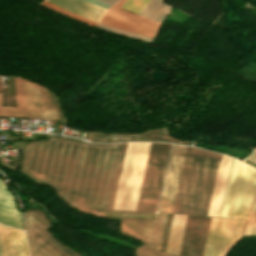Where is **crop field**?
I'll use <instances>...</instances> for the list:
<instances>
[{
	"instance_id": "crop-field-8",
	"label": "crop field",
	"mask_w": 256,
	"mask_h": 256,
	"mask_svg": "<svg viewBox=\"0 0 256 256\" xmlns=\"http://www.w3.org/2000/svg\"><path fill=\"white\" fill-rule=\"evenodd\" d=\"M126 1L120 0L115 7L109 5L99 24L154 38L160 23L118 9Z\"/></svg>"
},
{
	"instance_id": "crop-field-15",
	"label": "crop field",
	"mask_w": 256,
	"mask_h": 256,
	"mask_svg": "<svg viewBox=\"0 0 256 256\" xmlns=\"http://www.w3.org/2000/svg\"><path fill=\"white\" fill-rule=\"evenodd\" d=\"M73 13L98 22L105 9L90 5L82 0H48Z\"/></svg>"
},
{
	"instance_id": "crop-field-20",
	"label": "crop field",
	"mask_w": 256,
	"mask_h": 256,
	"mask_svg": "<svg viewBox=\"0 0 256 256\" xmlns=\"http://www.w3.org/2000/svg\"><path fill=\"white\" fill-rule=\"evenodd\" d=\"M41 4H42V3H41ZM43 5L49 7V8H51V9H53V10H56V11H58V12H60V13H63V14H65V15H67V16H70V17H72V18H75V19H77V20H79V21H82V22H84V23H86V24H89V25H91V26H93V27H94L95 24H96V23H94V22H92V21H89V20H87V19H85V18H82V17H80V16H78V15H76V14H73V13H71V12H69V11H66V10H64V9H62V8H60V7H58V6L54 5V4H52V3L48 2V1H46V0H44Z\"/></svg>"
},
{
	"instance_id": "crop-field-14",
	"label": "crop field",
	"mask_w": 256,
	"mask_h": 256,
	"mask_svg": "<svg viewBox=\"0 0 256 256\" xmlns=\"http://www.w3.org/2000/svg\"><path fill=\"white\" fill-rule=\"evenodd\" d=\"M75 209L81 212L92 214L99 217H104L102 216V213L104 211H109V210H92V209H82V208H75ZM111 212H132V211H111ZM132 213H148V212H132ZM148 214H155V213H148ZM106 218H115V217H106ZM144 220L145 219L122 218L121 224H120V233L128 238L140 241Z\"/></svg>"
},
{
	"instance_id": "crop-field-25",
	"label": "crop field",
	"mask_w": 256,
	"mask_h": 256,
	"mask_svg": "<svg viewBox=\"0 0 256 256\" xmlns=\"http://www.w3.org/2000/svg\"><path fill=\"white\" fill-rule=\"evenodd\" d=\"M154 221H146L141 243L148 245Z\"/></svg>"
},
{
	"instance_id": "crop-field-28",
	"label": "crop field",
	"mask_w": 256,
	"mask_h": 256,
	"mask_svg": "<svg viewBox=\"0 0 256 256\" xmlns=\"http://www.w3.org/2000/svg\"><path fill=\"white\" fill-rule=\"evenodd\" d=\"M150 140H163V141H174V142H184L177 139H174L170 136H150ZM189 143V142H187Z\"/></svg>"
},
{
	"instance_id": "crop-field-26",
	"label": "crop field",
	"mask_w": 256,
	"mask_h": 256,
	"mask_svg": "<svg viewBox=\"0 0 256 256\" xmlns=\"http://www.w3.org/2000/svg\"><path fill=\"white\" fill-rule=\"evenodd\" d=\"M38 90H39V93H40V96H41V100H42V103H43V106L44 107H51V103H50V100H49V97L47 95V92L45 89H43L41 86L38 85Z\"/></svg>"
},
{
	"instance_id": "crop-field-9",
	"label": "crop field",
	"mask_w": 256,
	"mask_h": 256,
	"mask_svg": "<svg viewBox=\"0 0 256 256\" xmlns=\"http://www.w3.org/2000/svg\"><path fill=\"white\" fill-rule=\"evenodd\" d=\"M24 90L26 97L27 109L0 107V116L9 117H33V118H45L52 120H59L58 113L55 107L43 109L42 103L37 90V85L28 82L24 79ZM1 102V96H0Z\"/></svg>"
},
{
	"instance_id": "crop-field-16",
	"label": "crop field",
	"mask_w": 256,
	"mask_h": 256,
	"mask_svg": "<svg viewBox=\"0 0 256 256\" xmlns=\"http://www.w3.org/2000/svg\"><path fill=\"white\" fill-rule=\"evenodd\" d=\"M186 218L187 216H184V215H174L173 221H172V226H171V231H170L166 251L177 256L180 250Z\"/></svg>"
},
{
	"instance_id": "crop-field-11",
	"label": "crop field",
	"mask_w": 256,
	"mask_h": 256,
	"mask_svg": "<svg viewBox=\"0 0 256 256\" xmlns=\"http://www.w3.org/2000/svg\"><path fill=\"white\" fill-rule=\"evenodd\" d=\"M2 256H29L25 233L0 225Z\"/></svg>"
},
{
	"instance_id": "crop-field-7",
	"label": "crop field",
	"mask_w": 256,
	"mask_h": 256,
	"mask_svg": "<svg viewBox=\"0 0 256 256\" xmlns=\"http://www.w3.org/2000/svg\"><path fill=\"white\" fill-rule=\"evenodd\" d=\"M244 221L212 218L203 256H225L241 236Z\"/></svg>"
},
{
	"instance_id": "crop-field-18",
	"label": "crop field",
	"mask_w": 256,
	"mask_h": 256,
	"mask_svg": "<svg viewBox=\"0 0 256 256\" xmlns=\"http://www.w3.org/2000/svg\"><path fill=\"white\" fill-rule=\"evenodd\" d=\"M127 143H121L106 209H112Z\"/></svg>"
},
{
	"instance_id": "crop-field-29",
	"label": "crop field",
	"mask_w": 256,
	"mask_h": 256,
	"mask_svg": "<svg viewBox=\"0 0 256 256\" xmlns=\"http://www.w3.org/2000/svg\"><path fill=\"white\" fill-rule=\"evenodd\" d=\"M100 1L107 3V4H111L113 6H115L119 2V0H100Z\"/></svg>"
},
{
	"instance_id": "crop-field-4",
	"label": "crop field",
	"mask_w": 256,
	"mask_h": 256,
	"mask_svg": "<svg viewBox=\"0 0 256 256\" xmlns=\"http://www.w3.org/2000/svg\"><path fill=\"white\" fill-rule=\"evenodd\" d=\"M150 143H128L113 209L135 210Z\"/></svg>"
},
{
	"instance_id": "crop-field-2",
	"label": "crop field",
	"mask_w": 256,
	"mask_h": 256,
	"mask_svg": "<svg viewBox=\"0 0 256 256\" xmlns=\"http://www.w3.org/2000/svg\"><path fill=\"white\" fill-rule=\"evenodd\" d=\"M220 157L187 146L172 213L207 216Z\"/></svg>"
},
{
	"instance_id": "crop-field-13",
	"label": "crop field",
	"mask_w": 256,
	"mask_h": 256,
	"mask_svg": "<svg viewBox=\"0 0 256 256\" xmlns=\"http://www.w3.org/2000/svg\"><path fill=\"white\" fill-rule=\"evenodd\" d=\"M0 223L23 230L21 213L16 212L12 195L0 180Z\"/></svg>"
},
{
	"instance_id": "crop-field-32",
	"label": "crop field",
	"mask_w": 256,
	"mask_h": 256,
	"mask_svg": "<svg viewBox=\"0 0 256 256\" xmlns=\"http://www.w3.org/2000/svg\"><path fill=\"white\" fill-rule=\"evenodd\" d=\"M0 95H1V93H0Z\"/></svg>"
},
{
	"instance_id": "crop-field-21",
	"label": "crop field",
	"mask_w": 256,
	"mask_h": 256,
	"mask_svg": "<svg viewBox=\"0 0 256 256\" xmlns=\"http://www.w3.org/2000/svg\"><path fill=\"white\" fill-rule=\"evenodd\" d=\"M149 0H128L122 9L139 14Z\"/></svg>"
},
{
	"instance_id": "crop-field-31",
	"label": "crop field",
	"mask_w": 256,
	"mask_h": 256,
	"mask_svg": "<svg viewBox=\"0 0 256 256\" xmlns=\"http://www.w3.org/2000/svg\"><path fill=\"white\" fill-rule=\"evenodd\" d=\"M0 256H1V253H0Z\"/></svg>"
},
{
	"instance_id": "crop-field-5",
	"label": "crop field",
	"mask_w": 256,
	"mask_h": 256,
	"mask_svg": "<svg viewBox=\"0 0 256 256\" xmlns=\"http://www.w3.org/2000/svg\"><path fill=\"white\" fill-rule=\"evenodd\" d=\"M169 147L151 143L136 210L155 211Z\"/></svg>"
},
{
	"instance_id": "crop-field-10",
	"label": "crop field",
	"mask_w": 256,
	"mask_h": 256,
	"mask_svg": "<svg viewBox=\"0 0 256 256\" xmlns=\"http://www.w3.org/2000/svg\"><path fill=\"white\" fill-rule=\"evenodd\" d=\"M186 146L173 144L158 211L171 213Z\"/></svg>"
},
{
	"instance_id": "crop-field-23",
	"label": "crop field",
	"mask_w": 256,
	"mask_h": 256,
	"mask_svg": "<svg viewBox=\"0 0 256 256\" xmlns=\"http://www.w3.org/2000/svg\"><path fill=\"white\" fill-rule=\"evenodd\" d=\"M135 256H170V254L141 246L136 249Z\"/></svg>"
},
{
	"instance_id": "crop-field-22",
	"label": "crop field",
	"mask_w": 256,
	"mask_h": 256,
	"mask_svg": "<svg viewBox=\"0 0 256 256\" xmlns=\"http://www.w3.org/2000/svg\"><path fill=\"white\" fill-rule=\"evenodd\" d=\"M16 92H17V107L26 108L24 90L21 78H15Z\"/></svg>"
},
{
	"instance_id": "crop-field-3",
	"label": "crop field",
	"mask_w": 256,
	"mask_h": 256,
	"mask_svg": "<svg viewBox=\"0 0 256 256\" xmlns=\"http://www.w3.org/2000/svg\"><path fill=\"white\" fill-rule=\"evenodd\" d=\"M255 176L256 169L233 159L220 217L246 220ZM249 234H256V181L243 235Z\"/></svg>"
},
{
	"instance_id": "crop-field-17",
	"label": "crop field",
	"mask_w": 256,
	"mask_h": 256,
	"mask_svg": "<svg viewBox=\"0 0 256 256\" xmlns=\"http://www.w3.org/2000/svg\"><path fill=\"white\" fill-rule=\"evenodd\" d=\"M164 0H151L142 10L140 15L148 17L158 22H162L171 6L163 3Z\"/></svg>"
},
{
	"instance_id": "crop-field-1",
	"label": "crop field",
	"mask_w": 256,
	"mask_h": 256,
	"mask_svg": "<svg viewBox=\"0 0 256 256\" xmlns=\"http://www.w3.org/2000/svg\"><path fill=\"white\" fill-rule=\"evenodd\" d=\"M119 145L49 137L24 146L20 168L73 206L105 209Z\"/></svg>"
},
{
	"instance_id": "crop-field-19",
	"label": "crop field",
	"mask_w": 256,
	"mask_h": 256,
	"mask_svg": "<svg viewBox=\"0 0 256 256\" xmlns=\"http://www.w3.org/2000/svg\"><path fill=\"white\" fill-rule=\"evenodd\" d=\"M167 214L157 213L150 247L159 250Z\"/></svg>"
},
{
	"instance_id": "crop-field-12",
	"label": "crop field",
	"mask_w": 256,
	"mask_h": 256,
	"mask_svg": "<svg viewBox=\"0 0 256 256\" xmlns=\"http://www.w3.org/2000/svg\"><path fill=\"white\" fill-rule=\"evenodd\" d=\"M232 159L222 155L208 216L219 217Z\"/></svg>"
},
{
	"instance_id": "crop-field-6",
	"label": "crop field",
	"mask_w": 256,
	"mask_h": 256,
	"mask_svg": "<svg viewBox=\"0 0 256 256\" xmlns=\"http://www.w3.org/2000/svg\"><path fill=\"white\" fill-rule=\"evenodd\" d=\"M25 220L31 256H80L48 231L49 221L38 210H27Z\"/></svg>"
},
{
	"instance_id": "crop-field-30",
	"label": "crop field",
	"mask_w": 256,
	"mask_h": 256,
	"mask_svg": "<svg viewBox=\"0 0 256 256\" xmlns=\"http://www.w3.org/2000/svg\"><path fill=\"white\" fill-rule=\"evenodd\" d=\"M256 164V151L252 153V155L247 159Z\"/></svg>"
},
{
	"instance_id": "crop-field-24",
	"label": "crop field",
	"mask_w": 256,
	"mask_h": 256,
	"mask_svg": "<svg viewBox=\"0 0 256 256\" xmlns=\"http://www.w3.org/2000/svg\"><path fill=\"white\" fill-rule=\"evenodd\" d=\"M96 27H99V28L107 30V31L123 34V35H126V36L138 38V39H141V40H144V41H147V42H151L152 41V39L141 37V36H138V35H135V34H131V33H128V32H124V31H121V30H117V29H114V28L106 27V26H103V25L97 24Z\"/></svg>"
},
{
	"instance_id": "crop-field-27",
	"label": "crop field",
	"mask_w": 256,
	"mask_h": 256,
	"mask_svg": "<svg viewBox=\"0 0 256 256\" xmlns=\"http://www.w3.org/2000/svg\"><path fill=\"white\" fill-rule=\"evenodd\" d=\"M103 215H110V216H145V217H155V215H148V214L109 213V212H104Z\"/></svg>"
}]
</instances>
